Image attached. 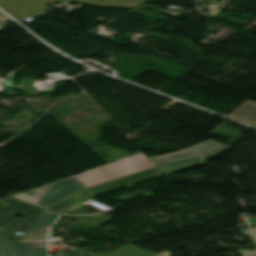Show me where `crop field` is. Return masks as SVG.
I'll use <instances>...</instances> for the list:
<instances>
[{"label":"crop field","instance_id":"9","mask_svg":"<svg viewBox=\"0 0 256 256\" xmlns=\"http://www.w3.org/2000/svg\"><path fill=\"white\" fill-rule=\"evenodd\" d=\"M228 117L256 126V103L246 100L233 110Z\"/></svg>","mask_w":256,"mask_h":256},{"label":"crop field","instance_id":"3","mask_svg":"<svg viewBox=\"0 0 256 256\" xmlns=\"http://www.w3.org/2000/svg\"><path fill=\"white\" fill-rule=\"evenodd\" d=\"M63 1L85 3L99 7H124L131 8L138 6L140 0H0V7L17 20L30 15L49 10L48 4Z\"/></svg>","mask_w":256,"mask_h":256},{"label":"crop field","instance_id":"4","mask_svg":"<svg viewBox=\"0 0 256 256\" xmlns=\"http://www.w3.org/2000/svg\"><path fill=\"white\" fill-rule=\"evenodd\" d=\"M159 175H162V174L156 168H154V169L136 173V174H133L130 176H126L123 178L105 182V183L96 185L94 187L88 188V189L56 204L49 210L56 212L63 207L71 209V208L91 199L92 197H94L98 194L108 192V191H111L114 189H118L121 187H125V186H128L135 182L151 179V178L157 177Z\"/></svg>","mask_w":256,"mask_h":256},{"label":"crop field","instance_id":"14","mask_svg":"<svg viewBox=\"0 0 256 256\" xmlns=\"http://www.w3.org/2000/svg\"><path fill=\"white\" fill-rule=\"evenodd\" d=\"M256 228V227H255Z\"/></svg>","mask_w":256,"mask_h":256},{"label":"crop field","instance_id":"10","mask_svg":"<svg viewBox=\"0 0 256 256\" xmlns=\"http://www.w3.org/2000/svg\"><path fill=\"white\" fill-rule=\"evenodd\" d=\"M242 232L243 234L250 235L253 241L256 243V230H242ZM239 252L243 256H256V249L254 250V252L244 250V249L239 250Z\"/></svg>","mask_w":256,"mask_h":256},{"label":"crop field","instance_id":"13","mask_svg":"<svg viewBox=\"0 0 256 256\" xmlns=\"http://www.w3.org/2000/svg\"><path fill=\"white\" fill-rule=\"evenodd\" d=\"M144 1H146V0H142V2H144Z\"/></svg>","mask_w":256,"mask_h":256},{"label":"crop field","instance_id":"7","mask_svg":"<svg viewBox=\"0 0 256 256\" xmlns=\"http://www.w3.org/2000/svg\"><path fill=\"white\" fill-rule=\"evenodd\" d=\"M229 149H231V148L228 146H225V147L218 149L214 152H211L205 156H201L198 158H194V159H190V160H186V161H182V162H178V163H174V164H170V165H166V166H160V167H156V168L166 176L169 174H173V173H176L179 171L186 170L193 166H201V165L205 164L206 160H208L218 154H221Z\"/></svg>","mask_w":256,"mask_h":256},{"label":"crop field","instance_id":"12","mask_svg":"<svg viewBox=\"0 0 256 256\" xmlns=\"http://www.w3.org/2000/svg\"><path fill=\"white\" fill-rule=\"evenodd\" d=\"M0 256H5V254L3 253V251L0 248Z\"/></svg>","mask_w":256,"mask_h":256},{"label":"crop field","instance_id":"8","mask_svg":"<svg viewBox=\"0 0 256 256\" xmlns=\"http://www.w3.org/2000/svg\"><path fill=\"white\" fill-rule=\"evenodd\" d=\"M59 214L45 211L34 226L27 231L25 240L48 238V231Z\"/></svg>","mask_w":256,"mask_h":256},{"label":"crop field","instance_id":"6","mask_svg":"<svg viewBox=\"0 0 256 256\" xmlns=\"http://www.w3.org/2000/svg\"><path fill=\"white\" fill-rule=\"evenodd\" d=\"M8 256H47V240L3 244Z\"/></svg>","mask_w":256,"mask_h":256},{"label":"crop field","instance_id":"5","mask_svg":"<svg viewBox=\"0 0 256 256\" xmlns=\"http://www.w3.org/2000/svg\"><path fill=\"white\" fill-rule=\"evenodd\" d=\"M223 144H220L218 142L212 141V140H207L199 145L190 147L185 150L178 151L173 154H168L164 156H158L154 158H149V160L155 165H161L165 163H170V162H176L200 155H204L220 146Z\"/></svg>","mask_w":256,"mask_h":256},{"label":"crop field","instance_id":"1","mask_svg":"<svg viewBox=\"0 0 256 256\" xmlns=\"http://www.w3.org/2000/svg\"><path fill=\"white\" fill-rule=\"evenodd\" d=\"M154 167L141 153L47 184L36 190L17 195L15 198L48 209L88 187Z\"/></svg>","mask_w":256,"mask_h":256},{"label":"crop field","instance_id":"11","mask_svg":"<svg viewBox=\"0 0 256 256\" xmlns=\"http://www.w3.org/2000/svg\"><path fill=\"white\" fill-rule=\"evenodd\" d=\"M0 20H9L5 15L0 12ZM10 21V20H9Z\"/></svg>","mask_w":256,"mask_h":256},{"label":"crop field","instance_id":"2","mask_svg":"<svg viewBox=\"0 0 256 256\" xmlns=\"http://www.w3.org/2000/svg\"><path fill=\"white\" fill-rule=\"evenodd\" d=\"M44 211L11 197L0 200V243L22 241L15 232L31 228ZM18 214L25 217L15 218Z\"/></svg>","mask_w":256,"mask_h":256}]
</instances>
